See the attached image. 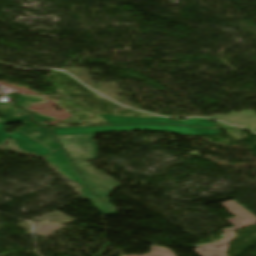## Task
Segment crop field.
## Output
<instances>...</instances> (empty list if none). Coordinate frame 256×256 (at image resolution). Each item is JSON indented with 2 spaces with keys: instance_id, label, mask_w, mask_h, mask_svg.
<instances>
[{
  "instance_id": "obj_3",
  "label": "crop field",
  "mask_w": 256,
  "mask_h": 256,
  "mask_svg": "<svg viewBox=\"0 0 256 256\" xmlns=\"http://www.w3.org/2000/svg\"><path fill=\"white\" fill-rule=\"evenodd\" d=\"M5 124H7L5 121H0V143L6 138L12 137L15 141H17L18 147L25 152H33L42 157H45L49 153L53 152L19 131L15 132L14 134L6 133L4 131V129H6L4 126Z\"/></svg>"
},
{
  "instance_id": "obj_8",
  "label": "crop field",
  "mask_w": 256,
  "mask_h": 256,
  "mask_svg": "<svg viewBox=\"0 0 256 256\" xmlns=\"http://www.w3.org/2000/svg\"><path fill=\"white\" fill-rule=\"evenodd\" d=\"M10 102L0 101V115L5 117L8 123L31 121V113L22 109L13 107Z\"/></svg>"
},
{
  "instance_id": "obj_2",
  "label": "crop field",
  "mask_w": 256,
  "mask_h": 256,
  "mask_svg": "<svg viewBox=\"0 0 256 256\" xmlns=\"http://www.w3.org/2000/svg\"><path fill=\"white\" fill-rule=\"evenodd\" d=\"M45 158L47 161L58 166V170L62 172L67 178L81 184L84 187L82 192L88 197L89 200L98 198L96 195H92V192L87 187V185L85 184L71 161L68 159L62 148L53 152Z\"/></svg>"
},
{
  "instance_id": "obj_13",
  "label": "crop field",
  "mask_w": 256,
  "mask_h": 256,
  "mask_svg": "<svg viewBox=\"0 0 256 256\" xmlns=\"http://www.w3.org/2000/svg\"><path fill=\"white\" fill-rule=\"evenodd\" d=\"M151 248H152L151 253L145 256H175L174 253L167 248L157 247V246H152ZM129 256H138V255H129Z\"/></svg>"
},
{
  "instance_id": "obj_12",
  "label": "crop field",
  "mask_w": 256,
  "mask_h": 256,
  "mask_svg": "<svg viewBox=\"0 0 256 256\" xmlns=\"http://www.w3.org/2000/svg\"><path fill=\"white\" fill-rule=\"evenodd\" d=\"M45 102L46 101L42 96L22 95V97L15 105L26 108L30 105L41 104Z\"/></svg>"
},
{
  "instance_id": "obj_10",
  "label": "crop field",
  "mask_w": 256,
  "mask_h": 256,
  "mask_svg": "<svg viewBox=\"0 0 256 256\" xmlns=\"http://www.w3.org/2000/svg\"><path fill=\"white\" fill-rule=\"evenodd\" d=\"M165 126L168 127L170 130H172L175 134H183V135H219V130L178 127V126H170V125H165Z\"/></svg>"
},
{
  "instance_id": "obj_6",
  "label": "crop field",
  "mask_w": 256,
  "mask_h": 256,
  "mask_svg": "<svg viewBox=\"0 0 256 256\" xmlns=\"http://www.w3.org/2000/svg\"><path fill=\"white\" fill-rule=\"evenodd\" d=\"M235 234H227L226 237L216 243L210 245L200 246L198 249L194 250L201 256H228L227 251L230 247L229 243L233 241Z\"/></svg>"
},
{
  "instance_id": "obj_15",
  "label": "crop field",
  "mask_w": 256,
  "mask_h": 256,
  "mask_svg": "<svg viewBox=\"0 0 256 256\" xmlns=\"http://www.w3.org/2000/svg\"><path fill=\"white\" fill-rule=\"evenodd\" d=\"M91 203L94 205L95 208H97L99 211H101L103 214H111V212L108 210V208L102 203L100 199L92 200Z\"/></svg>"
},
{
  "instance_id": "obj_9",
  "label": "crop field",
  "mask_w": 256,
  "mask_h": 256,
  "mask_svg": "<svg viewBox=\"0 0 256 256\" xmlns=\"http://www.w3.org/2000/svg\"><path fill=\"white\" fill-rule=\"evenodd\" d=\"M99 116L111 124L159 123L154 118H126V117L110 116V115H99Z\"/></svg>"
},
{
  "instance_id": "obj_7",
  "label": "crop field",
  "mask_w": 256,
  "mask_h": 256,
  "mask_svg": "<svg viewBox=\"0 0 256 256\" xmlns=\"http://www.w3.org/2000/svg\"><path fill=\"white\" fill-rule=\"evenodd\" d=\"M78 170L80 171V173L82 174V176L84 177V179L86 180V182L88 183L89 187L92 189L94 194H99V196L107 204V206L112 210V212L114 214H117L116 211L114 210L115 207L110 205L109 201H108V198H109V196L111 195V193L113 192L114 189L109 187L104 182L92 177L91 175H89L87 172H85L80 167H78Z\"/></svg>"
},
{
  "instance_id": "obj_14",
  "label": "crop field",
  "mask_w": 256,
  "mask_h": 256,
  "mask_svg": "<svg viewBox=\"0 0 256 256\" xmlns=\"http://www.w3.org/2000/svg\"><path fill=\"white\" fill-rule=\"evenodd\" d=\"M33 119H34V121H36V122L39 123L40 125L46 126V127H48V126H47V125H44V124L42 123V121H54V120H56V119L53 118V117L46 116V115H42V114H38V113H35V112H34Z\"/></svg>"
},
{
  "instance_id": "obj_1",
  "label": "crop field",
  "mask_w": 256,
  "mask_h": 256,
  "mask_svg": "<svg viewBox=\"0 0 256 256\" xmlns=\"http://www.w3.org/2000/svg\"><path fill=\"white\" fill-rule=\"evenodd\" d=\"M130 130L170 131L163 125L52 129L76 167L80 166L114 189L121 185L83 160H94L97 155V146L92 141L96 133Z\"/></svg>"
},
{
  "instance_id": "obj_11",
  "label": "crop field",
  "mask_w": 256,
  "mask_h": 256,
  "mask_svg": "<svg viewBox=\"0 0 256 256\" xmlns=\"http://www.w3.org/2000/svg\"><path fill=\"white\" fill-rule=\"evenodd\" d=\"M155 119L158 120L160 123L218 128L214 123L206 119H189V121H173L167 118H160V117H156Z\"/></svg>"
},
{
  "instance_id": "obj_4",
  "label": "crop field",
  "mask_w": 256,
  "mask_h": 256,
  "mask_svg": "<svg viewBox=\"0 0 256 256\" xmlns=\"http://www.w3.org/2000/svg\"><path fill=\"white\" fill-rule=\"evenodd\" d=\"M222 206L226 207L231 213H233L237 218L229 219L227 221L235 224V227L226 228L222 230L225 234L233 232L236 229L244 228L247 226L255 225L256 224V217L242 208L234 201L225 202ZM244 218V219H242Z\"/></svg>"
},
{
  "instance_id": "obj_5",
  "label": "crop field",
  "mask_w": 256,
  "mask_h": 256,
  "mask_svg": "<svg viewBox=\"0 0 256 256\" xmlns=\"http://www.w3.org/2000/svg\"><path fill=\"white\" fill-rule=\"evenodd\" d=\"M24 124V127L18 128L17 130L32 137L33 139L37 140L38 142L42 143L53 151L61 148L56 139L49 131V129H41V127L37 126L32 122H27Z\"/></svg>"
}]
</instances>
